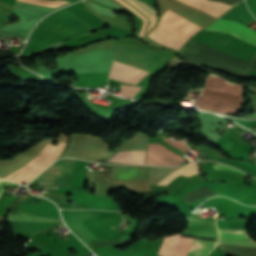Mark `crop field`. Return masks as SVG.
<instances>
[{
  "mask_svg": "<svg viewBox=\"0 0 256 256\" xmlns=\"http://www.w3.org/2000/svg\"><path fill=\"white\" fill-rule=\"evenodd\" d=\"M193 164H195V163H193ZM189 165H192V164H188L187 166H189ZM197 172H198V170H197L196 164L189 166V167L184 166V167L178 169L177 171H175L174 173H172L171 175H169L168 177H166L159 184L167 185L169 182H171L174 178H176L180 174L189 176V175L195 174Z\"/></svg>",
  "mask_w": 256,
  "mask_h": 256,
  "instance_id": "d1516ede",
  "label": "crop field"
},
{
  "mask_svg": "<svg viewBox=\"0 0 256 256\" xmlns=\"http://www.w3.org/2000/svg\"><path fill=\"white\" fill-rule=\"evenodd\" d=\"M193 238L182 237L173 256H186Z\"/></svg>",
  "mask_w": 256,
  "mask_h": 256,
  "instance_id": "22f410ed",
  "label": "crop field"
},
{
  "mask_svg": "<svg viewBox=\"0 0 256 256\" xmlns=\"http://www.w3.org/2000/svg\"><path fill=\"white\" fill-rule=\"evenodd\" d=\"M182 235L217 240V229L215 220L190 218L188 229H184Z\"/></svg>",
  "mask_w": 256,
  "mask_h": 256,
  "instance_id": "f4fd0767",
  "label": "crop field"
},
{
  "mask_svg": "<svg viewBox=\"0 0 256 256\" xmlns=\"http://www.w3.org/2000/svg\"><path fill=\"white\" fill-rule=\"evenodd\" d=\"M75 159H59L45 170L38 184L69 186Z\"/></svg>",
  "mask_w": 256,
  "mask_h": 256,
  "instance_id": "34b2d1b8",
  "label": "crop field"
},
{
  "mask_svg": "<svg viewBox=\"0 0 256 256\" xmlns=\"http://www.w3.org/2000/svg\"><path fill=\"white\" fill-rule=\"evenodd\" d=\"M216 243L217 241L195 239L188 256H206Z\"/></svg>",
  "mask_w": 256,
  "mask_h": 256,
  "instance_id": "28ad6ade",
  "label": "crop field"
},
{
  "mask_svg": "<svg viewBox=\"0 0 256 256\" xmlns=\"http://www.w3.org/2000/svg\"><path fill=\"white\" fill-rule=\"evenodd\" d=\"M164 139L167 143H169V144H171V145H173V146H175V147H177V148H179V149H181L185 152L190 150V148H188L183 142L171 140V139H168V138H165V137H164Z\"/></svg>",
  "mask_w": 256,
  "mask_h": 256,
  "instance_id": "733c2abd",
  "label": "crop field"
},
{
  "mask_svg": "<svg viewBox=\"0 0 256 256\" xmlns=\"http://www.w3.org/2000/svg\"><path fill=\"white\" fill-rule=\"evenodd\" d=\"M215 17H220L234 5H226L216 0H179Z\"/></svg>",
  "mask_w": 256,
  "mask_h": 256,
  "instance_id": "d8731c3e",
  "label": "crop field"
},
{
  "mask_svg": "<svg viewBox=\"0 0 256 256\" xmlns=\"http://www.w3.org/2000/svg\"><path fill=\"white\" fill-rule=\"evenodd\" d=\"M69 239L71 241V248H74L79 251V253L75 254L74 256H81L85 253L91 252L85 245H83L80 240L75 237L72 233L69 234Z\"/></svg>",
  "mask_w": 256,
  "mask_h": 256,
  "instance_id": "cbeb9de0",
  "label": "crop field"
},
{
  "mask_svg": "<svg viewBox=\"0 0 256 256\" xmlns=\"http://www.w3.org/2000/svg\"><path fill=\"white\" fill-rule=\"evenodd\" d=\"M16 185H17V184H15V183H11V182H7V181L0 180V193H1V191L4 189L5 186L16 187Z\"/></svg>",
  "mask_w": 256,
  "mask_h": 256,
  "instance_id": "bc2a9ffb",
  "label": "crop field"
},
{
  "mask_svg": "<svg viewBox=\"0 0 256 256\" xmlns=\"http://www.w3.org/2000/svg\"><path fill=\"white\" fill-rule=\"evenodd\" d=\"M113 45L115 59L152 71L165 59V57L139 46L115 41H113ZM115 59L109 76L120 82L142 84L152 73V71Z\"/></svg>",
  "mask_w": 256,
  "mask_h": 256,
  "instance_id": "8a807250",
  "label": "crop field"
},
{
  "mask_svg": "<svg viewBox=\"0 0 256 256\" xmlns=\"http://www.w3.org/2000/svg\"><path fill=\"white\" fill-rule=\"evenodd\" d=\"M197 25L167 11L158 26L148 36L172 49Z\"/></svg>",
  "mask_w": 256,
  "mask_h": 256,
  "instance_id": "ac0d7876",
  "label": "crop field"
},
{
  "mask_svg": "<svg viewBox=\"0 0 256 256\" xmlns=\"http://www.w3.org/2000/svg\"><path fill=\"white\" fill-rule=\"evenodd\" d=\"M121 88H122V96L130 97V98H132L141 89V87L126 86V85H121Z\"/></svg>",
  "mask_w": 256,
  "mask_h": 256,
  "instance_id": "d9b57169",
  "label": "crop field"
},
{
  "mask_svg": "<svg viewBox=\"0 0 256 256\" xmlns=\"http://www.w3.org/2000/svg\"><path fill=\"white\" fill-rule=\"evenodd\" d=\"M86 218H98V213L87 211L68 210L63 219L66 225L86 245H90L89 239H97L81 222Z\"/></svg>",
  "mask_w": 256,
  "mask_h": 256,
  "instance_id": "412701ff",
  "label": "crop field"
},
{
  "mask_svg": "<svg viewBox=\"0 0 256 256\" xmlns=\"http://www.w3.org/2000/svg\"><path fill=\"white\" fill-rule=\"evenodd\" d=\"M110 178L147 179L145 168L113 167Z\"/></svg>",
  "mask_w": 256,
  "mask_h": 256,
  "instance_id": "3316defc",
  "label": "crop field"
},
{
  "mask_svg": "<svg viewBox=\"0 0 256 256\" xmlns=\"http://www.w3.org/2000/svg\"><path fill=\"white\" fill-rule=\"evenodd\" d=\"M212 166H213L214 170L224 169V170H232V171H235V172H238V173H242V172H239V171H237V170H235L233 168L221 165L219 163L213 164ZM242 174H244V173H242Z\"/></svg>",
  "mask_w": 256,
  "mask_h": 256,
  "instance_id": "4a817a6b",
  "label": "crop field"
},
{
  "mask_svg": "<svg viewBox=\"0 0 256 256\" xmlns=\"http://www.w3.org/2000/svg\"><path fill=\"white\" fill-rule=\"evenodd\" d=\"M43 197L53 200L61 208L82 209L78 204H68L65 200L47 193H44Z\"/></svg>",
  "mask_w": 256,
  "mask_h": 256,
  "instance_id": "5142ce71",
  "label": "crop field"
},
{
  "mask_svg": "<svg viewBox=\"0 0 256 256\" xmlns=\"http://www.w3.org/2000/svg\"><path fill=\"white\" fill-rule=\"evenodd\" d=\"M219 244H256L244 230L218 229Z\"/></svg>",
  "mask_w": 256,
  "mask_h": 256,
  "instance_id": "5a996713",
  "label": "crop field"
},
{
  "mask_svg": "<svg viewBox=\"0 0 256 256\" xmlns=\"http://www.w3.org/2000/svg\"><path fill=\"white\" fill-rule=\"evenodd\" d=\"M20 213L60 218L56 205L42 198L40 204H20Z\"/></svg>",
  "mask_w": 256,
  "mask_h": 256,
  "instance_id": "e52e79f7",
  "label": "crop field"
},
{
  "mask_svg": "<svg viewBox=\"0 0 256 256\" xmlns=\"http://www.w3.org/2000/svg\"><path fill=\"white\" fill-rule=\"evenodd\" d=\"M244 27L245 26L237 22L217 19L205 29L228 32L247 42L256 44V32L250 31Z\"/></svg>",
  "mask_w": 256,
  "mask_h": 256,
  "instance_id": "dd49c442",
  "label": "crop field"
}]
</instances>
